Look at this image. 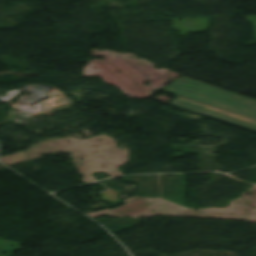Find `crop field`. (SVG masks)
I'll return each instance as SVG.
<instances>
[{"mask_svg":"<svg viewBox=\"0 0 256 256\" xmlns=\"http://www.w3.org/2000/svg\"><path fill=\"white\" fill-rule=\"evenodd\" d=\"M164 90L256 119V100L197 81L180 77ZM170 105L256 132V121L202 103L179 97Z\"/></svg>","mask_w":256,"mask_h":256,"instance_id":"crop-field-1","label":"crop field"}]
</instances>
